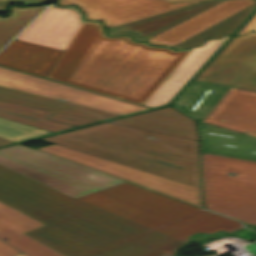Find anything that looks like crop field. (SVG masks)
I'll list each match as a JSON object with an SVG mask.
<instances>
[{"instance_id": "8a807250", "label": "crop field", "mask_w": 256, "mask_h": 256, "mask_svg": "<svg viewBox=\"0 0 256 256\" xmlns=\"http://www.w3.org/2000/svg\"><path fill=\"white\" fill-rule=\"evenodd\" d=\"M0 201L47 224L26 234L65 256H89L151 230L1 165ZM185 244L153 230L92 256H172Z\"/></svg>"}, {"instance_id": "ac0d7876", "label": "crop field", "mask_w": 256, "mask_h": 256, "mask_svg": "<svg viewBox=\"0 0 256 256\" xmlns=\"http://www.w3.org/2000/svg\"><path fill=\"white\" fill-rule=\"evenodd\" d=\"M190 50L108 38L99 22L85 21L48 79L143 105Z\"/></svg>"}, {"instance_id": "34b2d1b8", "label": "crop field", "mask_w": 256, "mask_h": 256, "mask_svg": "<svg viewBox=\"0 0 256 256\" xmlns=\"http://www.w3.org/2000/svg\"><path fill=\"white\" fill-rule=\"evenodd\" d=\"M42 140L201 187L196 141L109 123Z\"/></svg>"}, {"instance_id": "412701ff", "label": "crop field", "mask_w": 256, "mask_h": 256, "mask_svg": "<svg viewBox=\"0 0 256 256\" xmlns=\"http://www.w3.org/2000/svg\"><path fill=\"white\" fill-rule=\"evenodd\" d=\"M202 176L206 209L256 225V162L202 153Z\"/></svg>"}, {"instance_id": "f4fd0767", "label": "crop field", "mask_w": 256, "mask_h": 256, "mask_svg": "<svg viewBox=\"0 0 256 256\" xmlns=\"http://www.w3.org/2000/svg\"><path fill=\"white\" fill-rule=\"evenodd\" d=\"M0 164L74 198L123 182L20 144L0 149Z\"/></svg>"}, {"instance_id": "dd49c442", "label": "crop field", "mask_w": 256, "mask_h": 256, "mask_svg": "<svg viewBox=\"0 0 256 256\" xmlns=\"http://www.w3.org/2000/svg\"><path fill=\"white\" fill-rule=\"evenodd\" d=\"M77 199L151 229L201 210L128 183Z\"/></svg>"}, {"instance_id": "e52e79f7", "label": "crop field", "mask_w": 256, "mask_h": 256, "mask_svg": "<svg viewBox=\"0 0 256 256\" xmlns=\"http://www.w3.org/2000/svg\"><path fill=\"white\" fill-rule=\"evenodd\" d=\"M37 150L82 164L100 172L116 176L147 189L201 206V188L171 180L160 175L70 149L60 145H50Z\"/></svg>"}, {"instance_id": "d8731c3e", "label": "crop field", "mask_w": 256, "mask_h": 256, "mask_svg": "<svg viewBox=\"0 0 256 256\" xmlns=\"http://www.w3.org/2000/svg\"><path fill=\"white\" fill-rule=\"evenodd\" d=\"M195 80L256 91V32L234 37Z\"/></svg>"}, {"instance_id": "5a996713", "label": "crop field", "mask_w": 256, "mask_h": 256, "mask_svg": "<svg viewBox=\"0 0 256 256\" xmlns=\"http://www.w3.org/2000/svg\"><path fill=\"white\" fill-rule=\"evenodd\" d=\"M0 86L113 112L121 115L149 109L0 67Z\"/></svg>"}, {"instance_id": "3316defc", "label": "crop field", "mask_w": 256, "mask_h": 256, "mask_svg": "<svg viewBox=\"0 0 256 256\" xmlns=\"http://www.w3.org/2000/svg\"><path fill=\"white\" fill-rule=\"evenodd\" d=\"M203 1L172 3L167 0H58L59 5L76 4L87 13L86 19L104 20L107 27L137 18Z\"/></svg>"}, {"instance_id": "28ad6ade", "label": "crop field", "mask_w": 256, "mask_h": 256, "mask_svg": "<svg viewBox=\"0 0 256 256\" xmlns=\"http://www.w3.org/2000/svg\"><path fill=\"white\" fill-rule=\"evenodd\" d=\"M82 23L73 8L50 6L15 39L65 50Z\"/></svg>"}, {"instance_id": "d1516ede", "label": "crop field", "mask_w": 256, "mask_h": 256, "mask_svg": "<svg viewBox=\"0 0 256 256\" xmlns=\"http://www.w3.org/2000/svg\"><path fill=\"white\" fill-rule=\"evenodd\" d=\"M203 122L240 133L256 131V92L230 88Z\"/></svg>"}, {"instance_id": "22f410ed", "label": "crop field", "mask_w": 256, "mask_h": 256, "mask_svg": "<svg viewBox=\"0 0 256 256\" xmlns=\"http://www.w3.org/2000/svg\"><path fill=\"white\" fill-rule=\"evenodd\" d=\"M45 224L0 202V239L28 256H64L24 233Z\"/></svg>"}, {"instance_id": "cbeb9de0", "label": "crop field", "mask_w": 256, "mask_h": 256, "mask_svg": "<svg viewBox=\"0 0 256 256\" xmlns=\"http://www.w3.org/2000/svg\"><path fill=\"white\" fill-rule=\"evenodd\" d=\"M207 1L157 15L137 19L108 29V35L131 34L135 40L147 39L199 14L200 12L222 2Z\"/></svg>"}, {"instance_id": "5142ce71", "label": "crop field", "mask_w": 256, "mask_h": 256, "mask_svg": "<svg viewBox=\"0 0 256 256\" xmlns=\"http://www.w3.org/2000/svg\"><path fill=\"white\" fill-rule=\"evenodd\" d=\"M63 52L13 40L0 52V65L47 78Z\"/></svg>"}, {"instance_id": "d9b57169", "label": "crop field", "mask_w": 256, "mask_h": 256, "mask_svg": "<svg viewBox=\"0 0 256 256\" xmlns=\"http://www.w3.org/2000/svg\"><path fill=\"white\" fill-rule=\"evenodd\" d=\"M228 36L209 40L202 47L192 49L147 102L145 101L144 106L155 108L167 104Z\"/></svg>"}, {"instance_id": "733c2abd", "label": "crop field", "mask_w": 256, "mask_h": 256, "mask_svg": "<svg viewBox=\"0 0 256 256\" xmlns=\"http://www.w3.org/2000/svg\"><path fill=\"white\" fill-rule=\"evenodd\" d=\"M110 122L198 141L194 120L171 107Z\"/></svg>"}, {"instance_id": "4a817a6b", "label": "crop field", "mask_w": 256, "mask_h": 256, "mask_svg": "<svg viewBox=\"0 0 256 256\" xmlns=\"http://www.w3.org/2000/svg\"><path fill=\"white\" fill-rule=\"evenodd\" d=\"M205 153L256 161V138L198 122Z\"/></svg>"}, {"instance_id": "bc2a9ffb", "label": "crop field", "mask_w": 256, "mask_h": 256, "mask_svg": "<svg viewBox=\"0 0 256 256\" xmlns=\"http://www.w3.org/2000/svg\"><path fill=\"white\" fill-rule=\"evenodd\" d=\"M251 4L252 0H227L148 40V42L172 46Z\"/></svg>"}, {"instance_id": "214f88e0", "label": "crop field", "mask_w": 256, "mask_h": 256, "mask_svg": "<svg viewBox=\"0 0 256 256\" xmlns=\"http://www.w3.org/2000/svg\"><path fill=\"white\" fill-rule=\"evenodd\" d=\"M240 228L241 224L235 220L202 210L156 230L188 243L189 236L195 232L213 234L220 230L234 232Z\"/></svg>"}, {"instance_id": "92a150f3", "label": "crop field", "mask_w": 256, "mask_h": 256, "mask_svg": "<svg viewBox=\"0 0 256 256\" xmlns=\"http://www.w3.org/2000/svg\"><path fill=\"white\" fill-rule=\"evenodd\" d=\"M228 89L193 81L174 102V106L195 120L202 121Z\"/></svg>"}, {"instance_id": "dafd665d", "label": "crop field", "mask_w": 256, "mask_h": 256, "mask_svg": "<svg viewBox=\"0 0 256 256\" xmlns=\"http://www.w3.org/2000/svg\"><path fill=\"white\" fill-rule=\"evenodd\" d=\"M0 100L15 102L19 104L39 107L43 109L79 115L99 120H104L121 115L99 111L76 104L24 93L4 87H0Z\"/></svg>"}, {"instance_id": "00972430", "label": "crop field", "mask_w": 256, "mask_h": 256, "mask_svg": "<svg viewBox=\"0 0 256 256\" xmlns=\"http://www.w3.org/2000/svg\"><path fill=\"white\" fill-rule=\"evenodd\" d=\"M53 111L0 101V117L49 132H60L75 127L45 120Z\"/></svg>"}, {"instance_id": "a9b5d70f", "label": "crop field", "mask_w": 256, "mask_h": 256, "mask_svg": "<svg viewBox=\"0 0 256 256\" xmlns=\"http://www.w3.org/2000/svg\"><path fill=\"white\" fill-rule=\"evenodd\" d=\"M256 7V0L253 4L236 14L202 30L201 32L187 38L186 40L172 46L176 50L186 47H196L203 43L207 38H220L224 34H231L236 27L248 16V14Z\"/></svg>"}, {"instance_id": "4177f3b9", "label": "crop field", "mask_w": 256, "mask_h": 256, "mask_svg": "<svg viewBox=\"0 0 256 256\" xmlns=\"http://www.w3.org/2000/svg\"><path fill=\"white\" fill-rule=\"evenodd\" d=\"M45 6L11 7L7 18L0 17V49L23 29Z\"/></svg>"}, {"instance_id": "730fd06b", "label": "crop field", "mask_w": 256, "mask_h": 256, "mask_svg": "<svg viewBox=\"0 0 256 256\" xmlns=\"http://www.w3.org/2000/svg\"><path fill=\"white\" fill-rule=\"evenodd\" d=\"M48 134L52 133L0 118V137L5 139L18 142Z\"/></svg>"}, {"instance_id": "eef30255", "label": "crop field", "mask_w": 256, "mask_h": 256, "mask_svg": "<svg viewBox=\"0 0 256 256\" xmlns=\"http://www.w3.org/2000/svg\"><path fill=\"white\" fill-rule=\"evenodd\" d=\"M47 119L56 121V122H60V123H64V124H68V125H72V126H76V127L99 121V120H94V119H89V118H84V117H78V116L58 113V112H55Z\"/></svg>"}, {"instance_id": "ae1a2a85", "label": "crop field", "mask_w": 256, "mask_h": 256, "mask_svg": "<svg viewBox=\"0 0 256 256\" xmlns=\"http://www.w3.org/2000/svg\"><path fill=\"white\" fill-rule=\"evenodd\" d=\"M21 253L14 247L0 240V256H13L15 254Z\"/></svg>"}, {"instance_id": "d3111659", "label": "crop field", "mask_w": 256, "mask_h": 256, "mask_svg": "<svg viewBox=\"0 0 256 256\" xmlns=\"http://www.w3.org/2000/svg\"><path fill=\"white\" fill-rule=\"evenodd\" d=\"M251 30H256V14L236 35L247 33Z\"/></svg>"}, {"instance_id": "750c4746", "label": "crop field", "mask_w": 256, "mask_h": 256, "mask_svg": "<svg viewBox=\"0 0 256 256\" xmlns=\"http://www.w3.org/2000/svg\"><path fill=\"white\" fill-rule=\"evenodd\" d=\"M235 235L242 237L250 242H253L256 240V234L250 230H243L237 233H234Z\"/></svg>"}, {"instance_id": "bd1437ed", "label": "crop field", "mask_w": 256, "mask_h": 256, "mask_svg": "<svg viewBox=\"0 0 256 256\" xmlns=\"http://www.w3.org/2000/svg\"><path fill=\"white\" fill-rule=\"evenodd\" d=\"M11 1H18V2H24V3H40L48 0H0V11L3 12L6 3Z\"/></svg>"}, {"instance_id": "1d83c4d3", "label": "crop field", "mask_w": 256, "mask_h": 256, "mask_svg": "<svg viewBox=\"0 0 256 256\" xmlns=\"http://www.w3.org/2000/svg\"><path fill=\"white\" fill-rule=\"evenodd\" d=\"M246 249L250 250L252 253H254V255L256 254V244H249L247 246H245Z\"/></svg>"}, {"instance_id": "120bbe31", "label": "crop field", "mask_w": 256, "mask_h": 256, "mask_svg": "<svg viewBox=\"0 0 256 256\" xmlns=\"http://www.w3.org/2000/svg\"><path fill=\"white\" fill-rule=\"evenodd\" d=\"M9 143H13V142L8 141V140H5V139H3V138H0V146H1V145H5V144H9Z\"/></svg>"}, {"instance_id": "d32e631a", "label": "crop field", "mask_w": 256, "mask_h": 256, "mask_svg": "<svg viewBox=\"0 0 256 256\" xmlns=\"http://www.w3.org/2000/svg\"><path fill=\"white\" fill-rule=\"evenodd\" d=\"M169 1H172V2H181V1H193V0H169Z\"/></svg>"}, {"instance_id": "5866460e", "label": "crop field", "mask_w": 256, "mask_h": 256, "mask_svg": "<svg viewBox=\"0 0 256 256\" xmlns=\"http://www.w3.org/2000/svg\"><path fill=\"white\" fill-rule=\"evenodd\" d=\"M244 134H248V135H251V136H255V137H256V133H244Z\"/></svg>"}, {"instance_id": "028f5c9d", "label": "crop field", "mask_w": 256, "mask_h": 256, "mask_svg": "<svg viewBox=\"0 0 256 256\" xmlns=\"http://www.w3.org/2000/svg\"><path fill=\"white\" fill-rule=\"evenodd\" d=\"M248 227H249V226H248ZM249 228H251V229H253V230L256 231V226H251V227H249Z\"/></svg>"}, {"instance_id": "e1f06a70", "label": "crop field", "mask_w": 256, "mask_h": 256, "mask_svg": "<svg viewBox=\"0 0 256 256\" xmlns=\"http://www.w3.org/2000/svg\"><path fill=\"white\" fill-rule=\"evenodd\" d=\"M16 256H26L25 254L21 253V254H18Z\"/></svg>"}]
</instances>
